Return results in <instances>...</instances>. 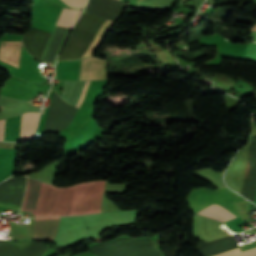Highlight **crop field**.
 Segmentation results:
<instances>
[{"instance_id":"12","label":"crop field","mask_w":256,"mask_h":256,"mask_svg":"<svg viewBox=\"0 0 256 256\" xmlns=\"http://www.w3.org/2000/svg\"><path fill=\"white\" fill-rule=\"evenodd\" d=\"M89 82H90V81H87V82H86L85 87H84V90H83V92H82V95H81V97H80V99H79V101H78L76 107H79V106H80V104H81V102H82V100H83V98H84V95H85V93H86V90H87V87H88V85H89Z\"/></svg>"},{"instance_id":"13","label":"crop field","mask_w":256,"mask_h":256,"mask_svg":"<svg viewBox=\"0 0 256 256\" xmlns=\"http://www.w3.org/2000/svg\"><path fill=\"white\" fill-rule=\"evenodd\" d=\"M5 119L0 120V140H3Z\"/></svg>"},{"instance_id":"15","label":"crop field","mask_w":256,"mask_h":256,"mask_svg":"<svg viewBox=\"0 0 256 256\" xmlns=\"http://www.w3.org/2000/svg\"><path fill=\"white\" fill-rule=\"evenodd\" d=\"M253 230H255V229H252L251 231H253Z\"/></svg>"},{"instance_id":"8","label":"crop field","mask_w":256,"mask_h":256,"mask_svg":"<svg viewBox=\"0 0 256 256\" xmlns=\"http://www.w3.org/2000/svg\"><path fill=\"white\" fill-rule=\"evenodd\" d=\"M198 214L216 219L221 222H225L229 219L236 218V216H234L228 210H226L225 208H223L219 205H216V204H213V205L199 211Z\"/></svg>"},{"instance_id":"1","label":"crop field","mask_w":256,"mask_h":256,"mask_svg":"<svg viewBox=\"0 0 256 256\" xmlns=\"http://www.w3.org/2000/svg\"><path fill=\"white\" fill-rule=\"evenodd\" d=\"M105 181L79 183L68 188H59L27 177V188L21 210L37 212L35 217L92 214L101 212V201Z\"/></svg>"},{"instance_id":"7","label":"crop field","mask_w":256,"mask_h":256,"mask_svg":"<svg viewBox=\"0 0 256 256\" xmlns=\"http://www.w3.org/2000/svg\"><path fill=\"white\" fill-rule=\"evenodd\" d=\"M21 49V41H1L0 61H3L19 69Z\"/></svg>"},{"instance_id":"11","label":"crop field","mask_w":256,"mask_h":256,"mask_svg":"<svg viewBox=\"0 0 256 256\" xmlns=\"http://www.w3.org/2000/svg\"><path fill=\"white\" fill-rule=\"evenodd\" d=\"M68 6L80 9L86 4V0H62Z\"/></svg>"},{"instance_id":"3","label":"crop field","mask_w":256,"mask_h":256,"mask_svg":"<svg viewBox=\"0 0 256 256\" xmlns=\"http://www.w3.org/2000/svg\"><path fill=\"white\" fill-rule=\"evenodd\" d=\"M88 249L96 256H160L150 239L121 238Z\"/></svg>"},{"instance_id":"5","label":"crop field","mask_w":256,"mask_h":256,"mask_svg":"<svg viewBox=\"0 0 256 256\" xmlns=\"http://www.w3.org/2000/svg\"><path fill=\"white\" fill-rule=\"evenodd\" d=\"M49 36L50 33L31 27L23 38V45L30 54L40 59L42 49Z\"/></svg>"},{"instance_id":"9","label":"crop field","mask_w":256,"mask_h":256,"mask_svg":"<svg viewBox=\"0 0 256 256\" xmlns=\"http://www.w3.org/2000/svg\"><path fill=\"white\" fill-rule=\"evenodd\" d=\"M80 11L63 8L55 25L71 28Z\"/></svg>"},{"instance_id":"10","label":"crop field","mask_w":256,"mask_h":256,"mask_svg":"<svg viewBox=\"0 0 256 256\" xmlns=\"http://www.w3.org/2000/svg\"><path fill=\"white\" fill-rule=\"evenodd\" d=\"M214 256H256V247L239 253L238 249H233L224 253H220Z\"/></svg>"},{"instance_id":"2","label":"crop field","mask_w":256,"mask_h":256,"mask_svg":"<svg viewBox=\"0 0 256 256\" xmlns=\"http://www.w3.org/2000/svg\"><path fill=\"white\" fill-rule=\"evenodd\" d=\"M102 21L103 18L83 12L64 45L58 60L82 58ZM113 23L114 21L104 19L83 58L93 54L95 49L99 46L104 34Z\"/></svg>"},{"instance_id":"6","label":"crop field","mask_w":256,"mask_h":256,"mask_svg":"<svg viewBox=\"0 0 256 256\" xmlns=\"http://www.w3.org/2000/svg\"><path fill=\"white\" fill-rule=\"evenodd\" d=\"M60 217H39L35 220L32 238H45L53 241Z\"/></svg>"},{"instance_id":"4","label":"crop field","mask_w":256,"mask_h":256,"mask_svg":"<svg viewBox=\"0 0 256 256\" xmlns=\"http://www.w3.org/2000/svg\"><path fill=\"white\" fill-rule=\"evenodd\" d=\"M108 61L89 57L81 60L80 80H100L107 79Z\"/></svg>"},{"instance_id":"14","label":"crop field","mask_w":256,"mask_h":256,"mask_svg":"<svg viewBox=\"0 0 256 256\" xmlns=\"http://www.w3.org/2000/svg\"><path fill=\"white\" fill-rule=\"evenodd\" d=\"M251 31H256V25L253 26V28L251 29Z\"/></svg>"}]
</instances>
